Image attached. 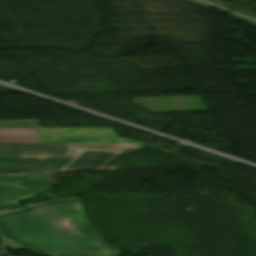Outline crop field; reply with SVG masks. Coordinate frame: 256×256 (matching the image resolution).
<instances>
[{
  "label": "crop field",
  "mask_w": 256,
  "mask_h": 256,
  "mask_svg": "<svg viewBox=\"0 0 256 256\" xmlns=\"http://www.w3.org/2000/svg\"><path fill=\"white\" fill-rule=\"evenodd\" d=\"M0 142L40 143L36 119L0 121Z\"/></svg>",
  "instance_id": "5"
},
{
  "label": "crop field",
  "mask_w": 256,
  "mask_h": 256,
  "mask_svg": "<svg viewBox=\"0 0 256 256\" xmlns=\"http://www.w3.org/2000/svg\"><path fill=\"white\" fill-rule=\"evenodd\" d=\"M73 157L0 156V174L60 171Z\"/></svg>",
  "instance_id": "4"
},
{
  "label": "crop field",
  "mask_w": 256,
  "mask_h": 256,
  "mask_svg": "<svg viewBox=\"0 0 256 256\" xmlns=\"http://www.w3.org/2000/svg\"><path fill=\"white\" fill-rule=\"evenodd\" d=\"M137 145H75L68 144V156L76 157L84 149L91 150H109L114 152H119L126 147H135Z\"/></svg>",
  "instance_id": "8"
},
{
  "label": "crop field",
  "mask_w": 256,
  "mask_h": 256,
  "mask_svg": "<svg viewBox=\"0 0 256 256\" xmlns=\"http://www.w3.org/2000/svg\"><path fill=\"white\" fill-rule=\"evenodd\" d=\"M128 144H141V143H138V142H135V141H129V143Z\"/></svg>",
  "instance_id": "12"
},
{
  "label": "crop field",
  "mask_w": 256,
  "mask_h": 256,
  "mask_svg": "<svg viewBox=\"0 0 256 256\" xmlns=\"http://www.w3.org/2000/svg\"><path fill=\"white\" fill-rule=\"evenodd\" d=\"M84 210L78 198L39 203L0 215L2 235L35 252L50 256H119L102 242L93 227L68 226L55 213Z\"/></svg>",
  "instance_id": "1"
},
{
  "label": "crop field",
  "mask_w": 256,
  "mask_h": 256,
  "mask_svg": "<svg viewBox=\"0 0 256 256\" xmlns=\"http://www.w3.org/2000/svg\"><path fill=\"white\" fill-rule=\"evenodd\" d=\"M57 216L59 217L60 221L68 225L91 226L85 216L84 211L61 213V214H57Z\"/></svg>",
  "instance_id": "9"
},
{
  "label": "crop field",
  "mask_w": 256,
  "mask_h": 256,
  "mask_svg": "<svg viewBox=\"0 0 256 256\" xmlns=\"http://www.w3.org/2000/svg\"><path fill=\"white\" fill-rule=\"evenodd\" d=\"M41 143L127 144L129 140L117 138L113 129L41 128Z\"/></svg>",
  "instance_id": "2"
},
{
  "label": "crop field",
  "mask_w": 256,
  "mask_h": 256,
  "mask_svg": "<svg viewBox=\"0 0 256 256\" xmlns=\"http://www.w3.org/2000/svg\"><path fill=\"white\" fill-rule=\"evenodd\" d=\"M51 177L52 174L0 176V213L21 208L10 204L1 195L32 196L46 190Z\"/></svg>",
  "instance_id": "3"
},
{
  "label": "crop field",
  "mask_w": 256,
  "mask_h": 256,
  "mask_svg": "<svg viewBox=\"0 0 256 256\" xmlns=\"http://www.w3.org/2000/svg\"><path fill=\"white\" fill-rule=\"evenodd\" d=\"M3 197L13 204H18V200L24 198V197H13V196H3Z\"/></svg>",
  "instance_id": "11"
},
{
  "label": "crop field",
  "mask_w": 256,
  "mask_h": 256,
  "mask_svg": "<svg viewBox=\"0 0 256 256\" xmlns=\"http://www.w3.org/2000/svg\"><path fill=\"white\" fill-rule=\"evenodd\" d=\"M5 245L8 246L9 248H12V249L16 250V251L22 249V247L14 244V243H12V242H10L8 240H5Z\"/></svg>",
  "instance_id": "10"
},
{
  "label": "crop field",
  "mask_w": 256,
  "mask_h": 256,
  "mask_svg": "<svg viewBox=\"0 0 256 256\" xmlns=\"http://www.w3.org/2000/svg\"><path fill=\"white\" fill-rule=\"evenodd\" d=\"M0 155L67 156V144L0 143Z\"/></svg>",
  "instance_id": "6"
},
{
  "label": "crop field",
  "mask_w": 256,
  "mask_h": 256,
  "mask_svg": "<svg viewBox=\"0 0 256 256\" xmlns=\"http://www.w3.org/2000/svg\"><path fill=\"white\" fill-rule=\"evenodd\" d=\"M115 155L116 153L108 151L84 150L61 171H90L100 169Z\"/></svg>",
  "instance_id": "7"
}]
</instances>
